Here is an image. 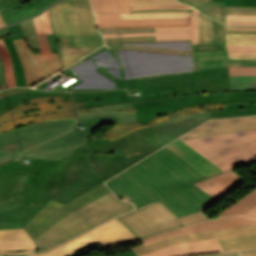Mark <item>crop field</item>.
Listing matches in <instances>:
<instances>
[{
    "label": "crop field",
    "mask_w": 256,
    "mask_h": 256,
    "mask_svg": "<svg viewBox=\"0 0 256 256\" xmlns=\"http://www.w3.org/2000/svg\"><path fill=\"white\" fill-rule=\"evenodd\" d=\"M0 56L2 59L4 71H5L7 85L8 87L15 86L16 83H15L12 59L1 37H0Z\"/></svg>",
    "instance_id": "crop-field-43"
},
{
    "label": "crop field",
    "mask_w": 256,
    "mask_h": 256,
    "mask_svg": "<svg viewBox=\"0 0 256 256\" xmlns=\"http://www.w3.org/2000/svg\"><path fill=\"white\" fill-rule=\"evenodd\" d=\"M131 203L118 199L112 192L73 212L43 235L35 243L42 252L92 227L133 209Z\"/></svg>",
    "instance_id": "crop-field-3"
},
{
    "label": "crop field",
    "mask_w": 256,
    "mask_h": 256,
    "mask_svg": "<svg viewBox=\"0 0 256 256\" xmlns=\"http://www.w3.org/2000/svg\"><path fill=\"white\" fill-rule=\"evenodd\" d=\"M230 76L256 75V67H234L229 68Z\"/></svg>",
    "instance_id": "crop-field-55"
},
{
    "label": "crop field",
    "mask_w": 256,
    "mask_h": 256,
    "mask_svg": "<svg viewBox=\"0 0 256 256\" xmlns=\"http://www.w3.org/2000/svg\"><path fill=\"white\" fill-rule=\"evenodd\" d=\"M224 109H215L209 119L256 114V91L228 92L219 104Z\"/></svg>",
    "instance_id": "crop-field-23"
},
{
    "label": "crop field",
    "mask_w": 256,
    "mask_h": 256,
    "mask_svg": "<svg viewBox=\"0 0 256 256\" xmlns=\"http://www.w3.org/2000/svg\"><path fill=\"white\" fill-rule=\"evenodd\" d=\"M206 177L166 146L105 183L136 209L158 200L177 217L207 209L217 200L195 182Z\"/></svg>",
    "instance_id": "crop-field-1"
},
{
    "label": "crop field",
    "mask_w": 256,
    "mask_h": 256,
    "mask_svg": "<svg viewBox=\"0 0 256 256\" xmlns=\"http://www.w3.org/2000/svg\"><path fill=\"white\" fill-rule=\"evenodd\" d=\"M68 90H77V91H101V90H109V89H68Z\"/></svg>",
    "instance_id": "crop-field-75"
},
{
    "label": "crop field",
    "mask_w": 256,
    "mask_h": 256,
    "mask_svg": "<svg viewBox=\"0 0 256 256\" xmlns=\"http://www.w3.org/2000/svg\"><path fill=\"white\" fill-rule=\"evenodd\" d=\"M72 256H76V255L74 254V255H72Z\"/></svg>",
    "instance_id": "crop-field-83"
},
{
    "label": "crop field",
    "mask_w": 256,
    "mask_h": 256,
    "mask_svg": "<svg viewBox=\"0 0 256 256\" xmlns=\"http://www.w3.org/2000/svg\"><path fill=\"white\" fill-rule=\"evenodd\" d=\"M128 92L134 88L192 82L194 92L230 91L228 68L193 71L125 80Z\"/></svg>",
    "instance_id": "crop-field-9"
},
{
    "label": "crop field",
    "mask_w": 256,
    "mask_h": 256,
    "mask_svg": "<svg viewBox=\"0 0 256 256\" xmlns=\"http://www.w3.org/2000/svg\"><path fill=\"white\" fill-rule=\"evenodd\" d=\"M109 192L111 191L102 183L65 205L53 199L24 228L36 239L73 211Z\"/></svg>",
    "instance_id": "crop-field-13"
},
{
    "label": "crop field",
    "mask_w": 256,
    "mask_h": 256,
    "mask_svg": "<svg viewBox=\"0 0 256 256\" xmlns=\"http://www.w3.org/2000/svg\"><path fill=\"white\" fill-rule=\"evenodd\" d=\"M55 0H0V12L7 25L42 12ZM33 9V11H30Z\"/></svg>",
    "instance_id": "crop-field-25"
},
{
    "label": "crop field",
    "mask_w": 256,
    "mask_h": 256,
    "mask_svg": "<svg viewBox=\"0 0 256 256\" xmlns=\"http://www.w3.org/2000/svg\"><path fill=\"white\" fill-rule=\"evenodd\" d=\"M75 122V119L45 121L43 124L0 133V164L16 159L25 149L68 131Z\"/></svg>",
    "instance_id": "crop-field-8"
},
{
    "label": "crop field",
    "mask_w": 256,
    "mask_h": 256,
    "mask_svg": "<svg viewBox=\"0 0 256 256\" xmlns=\"http://www.w3.org/2000/svg\"><path fill=\"white\" fill-rule=\"evenodd\" d=\"M232 214H242L251 218L256 217V190L248 194L222 214L218 215V217Z\"/></svg>",
    "instance_id": "crop-field-38"
},
{
    "label": "crop field",
    "mask_w": 256,
    "mask_h": 256,
    "mask_svg": "<svg viewBox=\"0 0 256 256\" xmlns=\"http://www.w3.org/2000/svg\"><path fill=\"white\" fill-rule=\"evenodd\" d=\"M31 239L23 229L0 230V240Z\"/></svg>",
    "instance_id": "crop-field-51"
},
{
    "label": "crop field",
    "mask_w": 256,
    "mask_h": 256,
    "mask_svg": "<svg viewBox=\"0 0 256 256\" xmlns=\"http://www.w3.org/2000/svg\"><path fill=\"white\" fill-rule=\"evenodd\" d=\"M125 79L197 70L194 58H120Z\"/></svg>",
    "instance_id": "crop-field-16"
},
{
    "label": "crop field",
    "mask_w": 256,
    "mask_h": 256,
    "mask_svg": "<svg viewBox=\"0 0 256 256\" xmlns=\"http://www.w3.org/2000/svg\"><path fill=\"white\" fill-rule=\"evenodd\" d=\"M48 11L56 36L99 34L89 0H62Z\"/></svg>",
    "instance_id": "crop-field-10"
},
{
    "label": "crop field",
    "mask_w": 256,
    "mask_h": 256,
    "mask_svg": "<svg viewBox=\"0 0 256 256\" xmlns=\"http://www.w3.org/2000/svg\"><path fill=\"white\" fill-rule=\"evenodd\" d=\"M31 161L43 168L42 179H47L37 203L54 198L65 204L103 182L86 165L85 154L69 160Z\"/></svg>",
    "instance_id": "crop-field-2"
},
{
    "label": "crop field",
    "mask_w": 256,
    "mask_h": 256,
    "mask_svg": "<svg viewBox=\"0 0 256 256\" xmlns=\"http://www.w3.org/2000/svg\"><path fill=\"white\" fill-rule=\"evenodd\" d=\"M198 70L234 67V66H256V63H229L228 59L197 61Z\"/></svg>",
    "instance_id": "crop-field-45"
},
{
    "label": "crop field",
    "mask_w": 256,
    "mask_h": 256,
    "mask_svg": "<svg viewBox=\"0 0 256 256\" xmlns=\"http://www.w3.org/2000/svg\"><path fill=\"white\" fill-rule=\"evenodd\" d=\"M213 111L214 109L203 114H200L199 111H195L191 114L180 115L171 120L157 123L152 125V127L161 141L167 144L182 133L207 120Z\"/></svg>",
    "instance_id": "crop-field-22"
},
{
    "label": "crop field",
    "mask_w": 256,
    "mask_h": 256,
    "mask_svg": "<svg viewBox=\"0 0 256 256\" xmlns=\"http://www.w3.org/2000/svg\"><path fill=\"white\" fill-rule=\"evenodd\" d=\"M20 24L30 47L40 49L34 24H33V20L31 19L28 21H24V22H21Z\"/></svg>",
    "instance_id": "crop-field-48"
},
{
    "label": "crop field",
    "mask_w": 256,
    "mask_h": 256,
    "mask_svg": "<svg viewBox=\"0 0 256 256\" xmlns=\"http://www.w3.org/2000/svg\"><path fill=\"white\" fill-rule=\"evenodd\" d=\"M132 5L182 4L176 0H131Z\"/></svg>",
    "instance_id": "crop-field-58"
},
{
    "label": "crop field",
    "mask_w": 256,
    "mask_h": 256,
    "mask_svg": "<svg viewBox=\"0 0 256 256\" xmlns=\"http://www.w3.org/2000/svg\"><path fill=\"white\" fill-rule=\"evenodd\" d=\"M222 252L216 239L177 244L142 256H192Z\"/></svg>",
    "instance_id": "crop-field-27"
},
{
    "label": "crop field",
    "mask_w": 256,
    "mask_h": 256,
    "mask_svg": "<svg viewBox=\"0 0 256 256\" xmlns=\"http://www.w3.org/2000/svg\"><path fill=\"white\" fill-rule=\"evenodd\" d=\"M102 34L122 32H155L154 28L98 29Z\"/></svg>",
    "instance_id": "crop-field-56"
},
{
    "label": "crop field",
    "mask_w": 256,
    "mask_h": 256,
    "mask_svg": "<svg viewBox=\"0 0 256 256\" xmlns=\"http://www.w3.org/2000/svg\"><path fill=\"white\" fill-rule=\"evenodd\" d=\"M4 41L11 53L12 59H13L16 83H17V85L26 86L23 66L20 62L18 55H17V52L13 45V42L11 41L10 37L4 38Z\"/></svg>",
    "instance_id": "crop-field-44"
},
{
    "label": "crop field",
    "mask_w": 256,
    "mask_h": 256,
    "mask_svg": "<svg viewBox=\"0 0 256 256\" xmlns=\"http://www.w3.org/2000/svg\"><path fill=\"white\" fill-rule=\"evenodd\" d=\"M111 44L118 57H194L191 40Z\"/></svg>",
    "instance_id": "crop-field-17"
},
{
    "label": "crop field",
    "mask_w": 256,
    "mask_h": 256,
    "mask_svg": "<svg viewBox=\"0 0 256 256\" xmlns=\"http://www.w3.org/2000/svg\"><path fill=\"white\" fill-rule=\"evenodd\" d=\"M18 160L0 166V214L34 205L45 182L41 168L21 166Z\"/></svg>",
    "instance_id": "crop-field-6"
},
{
    "label": "crop field",
    "mask_w": 256,
    "mask_h": 256,
    "mask_svg": "<svg viewBox=\"0 0 256 256\" xmlns=\"http://www.w3.org/2000/svg\"><path fill=\"white\" fill-rule=\"evenodd\" d=\"M82 82L71 88H116V79L121 73L70 72ZM76 73V74H73Z\"/></svg>",
    "instance_id": "crop-field-32"
},
{
    "label": "crop field",
    "mask_w": 256,
    "mask_h": 256,
    "mask_svg": "<svg viewBox=\"0 0 256 256\" xmlns=\"http://www.w3.org/2000/svg\"><path fill=\"white\" fill-rule=\"evenodd\" d=\"M212 1H225V0H212Z\"/></svg>",
    "instance_id": "crop-field-82"
},
{
    "label": "crop field",
    "mask_w": 256,
    "mask_h": 256,
    "mask_svg": "<svg viewBox=\"0 0 256 256\" xmlns=\"http://www.w3.org/2000/svg\"><path fill=\"white\" fill-rule=\"evenodd\" d=\"M255 222H256V219H249V218H246L243 216L223 217V218H218V219L182 227L179 229L171 230V231L165 232L163 234L142 240L141 242L144 245H146V244L156 242V241H159V240H162V239H165L168 237H172V236L227 228V227L250 224V223H255Z\"/></svg>",
    "instance_id": "crop-field-24"
},
{
    "label": "crop field",
    "mask_w": 256,
    "mask_h": 256,
    "mask_svg": "<svg viewBox=\"0 0 256 256\" xmlns=\"http://www.w3.org/2000/svg\"><path fill=\"white\" fill-rule=\"evenodd\" d=\"M120 81L121 83H118ZM117 88H124L122 80H117Z\"/></svg>",
    "instance_id": "crop-field-79"
},
{
    "label": "crop field",
    "mask_w": 256,
    "mask_h": 256,
    "mask_svg": "<svg viewBox=\"0 0 256 256\" xmlns=\"http://www.w3.org/2000/svg\"><path fill=\"white\" fill-rule=\"evenodd\" d=\"M159 148H140L118 154L86 153V162L90 169L104 181Z\"/></svg>",
    "instance_id": "crop-field-18"
},
{
    "label": "crop field",
    "mask_w": 256,
    "mask_h": 256,
    "mask_svg": "<svg viewBox=\"0 0 256 256\" xmlns=\"http://www.w3.org/2000/svg\"><path fill=\"white\" fill-rule=\"evenodd\" d=\"M2 26H5V23H4V21H3L2 17H1V15H0V27H2Z\"/></svg>",
    "instance_id": "crop-field-80"
},
{
    "label": "crop field",
    "mask_w": 256,
    "mask_h": 256,
    "mask_svg": "<svg viewBox=\"0 0 256 256\" xmlns=\"http://www.w3.org/2000/svg\"><path fill=\"white\" fill-rule=\"evenodd\" d=\"M198 16H199V12H197L196 10H192L191 27L155 28L156 33H123V34H109V35H103V36L116 37V36L156 35V41L192 39L193 44H195L197 43Z\"/></svg>",
    "instance_id": "crop-field-26"
},
{
    "label": "crop field",
    "mask_w": 256,
    "mask_h": 256,
    "mask_svg": "<svg viewBox=\"0 0 256 256\" xmlns=\"http://www.w3.org/2000/svg\"><path fill=\"white\" fill-rule=\"evenodd\" d=\"M198 43H212V25L211 19L200 14Z\"/></svg>",
    "instance_id": "crop-field-47"
},
{
    "label": "crop field",
    "mask_w": 256,
    "mask_h": 256,
    "mask_svg": "<svg viewBox=\"0 0 256 256\" xmlns=\"http://www.w3.org/2000/svg\"><path fill=\"white\" fill-rule=\"evenodd\" d=\"M57 38H58V49L57 50L96 47V46L103 45L102 35L57 37Z\"/></svg>",
    "instance_id": "crop-field-36"
},
{
    "label": "crop field",
    "mask_w": 256,
    "mask_h": 256,
    "mask_svg": "<svg viewBox=\"0 0 256 256\" xmlns=\"http://www.w3.org/2000/svg\"><path fill=\"white\" fill-rule=\"evenodd\" d=\"M230 62H256V59H229Z\"/></svg>",
    "instance_id": "crop-field-74"
},
{
    "label": "crop field",
    "mask_w": 256,
    "mask_h": 256,
    "mask_svg": "<svg viewBox=\"0 0 256 256\" xmlns=\"http://www.w3.org/2000/svg\"><path fill=\"white\" fill-rule=\"evenodd\" d=\"M24 66L27 86H32L85 55L58 57L57 53L34 54L23 39L13 40Z\"/></svg>",
    "instance_id": "crop-field-14"
},
{
    "label": "crop field",
    "mask_w": 256,
    "mask_h": 256,
    "mask_svg": "<svg viewBox=\"0 0 256 256\" xmlns=\"http://www.w3.org/2000/svg\"><path fill=\"white\" fill-rule=\"evenodd\" d=\"M214 233L218 241L235 237L254 235L256 234V223L227 229L215 230Z\"/></svg>",
    "instance_id": "crop-field-41"
},
{
    "label": "crop field",
    "mask_w": 256,
    "mask_h": 256,
    "mask_svg": "<svg viewBox=\"0 0 256 256\" xmlns=\"http://www.w3.org/2000/svg\"><path fill=\"white\" fill-rule=\"evenodd\" d=\"M46 36H47L51 51L56 52V49H57V39H56V37L54 35H46Z\"/></svg>",
    "instance_id": "crop-field-69"
},
{
    "label": "crop field",
    "mask_w": 256,
    "mask_h": 256,
    "mask_svg": "<svg viewBox=\"0 0 256 256\" xmlns=\"http://www.w3.org/2000/svg\"><path fill=\"white\" fill-rule=\"evenodd\" d=\"M226 6L256 7V0H230Z\"/></svg>",
    "instance_id": "crop-field-60"
},
{
    "label": "crop field",
    "mask_w": 256,
    "mask_h": 256,
    "mask_svg": "<svg viewBox=\"0 0 256 256\" xmlns=\"http://www.w3.org/2000/svg\"><path fill=\"white\" fill-rule=\"evenodd\" d=\"M36 247L33 240L0 241V248Z\"/></svg>",
    "instance_id": "crop-field-53"
},
{
    "label": "crop field",
    "mask_w": 256,
    "mask_h": 256,
    "mask_svg": "<svg viewBox=\"0 0 256 256\" xmlns=\"http://www.w3.org/2000/svg\"><path fill=\"white\" fill-rule=\"evenodd\" d=\"M115 220L120 224V226L131 236V238L134 241H137L138 239L117 219L115 218Z\"/></svg>",
    "instance_id": "crop-field-73"
},
{
    "label": "crop field",
    "mask_w": 256,
    "mask_h": 256,
    "mask_svg": "<svg viewBox=\"0 0 256 256\" xmlns=\"http://www.w3.org/2000/svg\"><path fill=\"white\" fill-rule=\"evenodd\" d=\"M96 48H85V49H73V50H62V51H57L59 56H64V55H74V54H84V53H90L94 51Z\"/></svg>",
    "instance_id": "crop-field-61"
},
{
    "label": "crop field",
    "mask_w": 256,
    "mask_h": 256,
    "mask_svg": "<svg viewBox=\"0 0 256 256\" xmlns=\"http://www.w3.org/2000/svg\"><path fill=\"white\" fill-rule=\"evenodd\" d=\"M241 256H256V251L254 252H243L240 253Z\"/></svg>",
    "instance_id": "crop-field-76"
},
{
    "label": "crop field",
    "mask_w": 256,
    "mask_h": 256,
    "mask_svg": "<svg viewBox=\"0 0 256 256\" xmlns=\"http://www.w3.org/2000/svg\"><path fill=\"white\" fill-rule=\"evenodd\" d=\"M13 256H26V255H13Z\"/></svg>",
    "instance_id": "crop-field-81"
},
{
    "label": "crop field",
    "mask_w": 256,
    "mask_h": 256,
    "mask_svg": "<svg viewBox=\"0 0 256 256\" xmlns=\"http://www.w3.org/2000/svg\"><path fill=\"white\" fill-rule=\"evenodd\" d=\"M24 90H27V89H23V88H10V89H7V90H4V91L0 92V98L8 96V95H12V94L24 91Z\"/></svg>",
    "instance_id": "crop-field-67"
},
{
    "label": "crop field",
    "mask_w": 256,
    "mask_h": 256,
    "mask_svg": "<svg viewBox=\"0 0 256 256\" xmlns=\"http://www.w3.org/2000/svg\"><path fill=\"white\" fill-rule=\"evenodd\" d=\"M98 28L190 26V17L120 19V14H95Z\"/></svg>",
    "instance_id": "crop-field-20"
},
{
    "label": "crop field",
    "mask_w": 256,
    "mask_h": 256,
    "mask_svg": "<svg viewBox=\"0 0 256 256\" xmlns=\"http://www.w3.org/2000/svg\"><path fill=\"white\" fill-rule=\"evenodd\" d=\"M132 108L131 104L95 108L92 109L96 112L90 113H78L80 123H84L87 126V130L83 132L75 131L56 137L46 143H43L31 150L21 153L19 157H37V158H52L62 159L71 155V153L82 145H85L88 139L85 138L89 134L90 130L106 123V122H118V123H135L137 122L135 113H124L121 111H104L110 109H127Z\"/></svg>",
    "instance_id": "crop-field-4"
},
{
    "label": "crop field",
    "mask_w": 256,
    "mask_h": 256,
    "mask_svg": "<svg viewBox=\"0 0 256 256\" xmlns=\"http://www.w3.org/2000/svg\"><path fill=\"white\" fill-rule=\"evenodd\" d=\"M191 5L203 14L226 24V14L256 15V8L225 7V2L178 0ZM224 15V17H221Z\"/></svg>",
    "instance_id": "crop-field-29"
},
{
    "label": "crop field",
    "mask_w": 256,
    "mask_h": 256,
    "mask_svg": "<svg viewBox=\"0 0 256 256\" xmlns=\"http://www.w3.org/2000/svg\"><path fill=\"white\" fill-rule=\"evenodd\" d=\"M148 146H163V143L155 134L152 127L129 133L116 141L87 151L88 153H115L114 151L116 150L123 152Z\"/></svg>",
    "instance_id": "crop-field-21"
},
{
    "label": "crop field",
    "mask_w": 256,
    "mask_h": 256,
    "mask_svg": "<svg viewBox=\"0 0 256 256\" xmlns=\"http://www.w3.org/2000/svg\"><path fill=\"white\" fill-rule=\"evenodd\" d=\"M22 226L12 222H0V229L20 228Z\"/></svg>",
    "instance_id": "crop-field-70"
},
{
    "label": "crop field",
    "mask_w": 256,
    "mask_h": 256,
    "mask_svg": "<svg viewBox=\"0 0 256 256\" xmlns=\"http://www.w3.org/2000/svg\"><path fill=\"white\" fill-rule=\"evenodd\" d=\"M212 256H239V255L238 253H229V254L212 255Z\"/></svg>",
    "instance_id": "crop-field-78"
},
{
    "label": "crop field",
    "mask_w": 256,
    "mask_h": 256,
    "mask_svg": "<svg viewBox=\"0 0 256 256\" xmlns=\"http://www.w3.org/2000/svg\"><path fill=\"white\" fill-rule=\"evenodd\" d=\"M223 252L256 248V235L219 242Z\"/></svg>",
    "instance_id": "crop-field-42"
},
{
    "label": "crop field",
    "mask_w": 256,
    "mask_h": 256,
    "mask_svg": "<svg viewBox=\"0 0 256 256\" xmlns=\"http://www.w3.org/2000/svg\"><path fill=\"white\" fill-rule=\"evenodd\" d=\"M158 86L149 88H139L142 90V96L138 98L128 96L126 90H109L105 92H88V93H77L72 92L74 100L76 102L86 101L84 103L85 108L121 104L134 101L151 100L159 98H167L185 94H194L191 83ZM161 89V91H159ZM97 93L95 96L94 94Z\"/></svg>",
    "instance_id": "crop-field-12"
},
{
    "label": "crop field",
    "mask_w": 256,
    "mask_h": 256,
    "mask_svg": "<svg viewBox=\"0 0 256 256\" xmlns=\"http://www.w3.org/2000/svg\"><path fill=\"white\" fill-rule=\"evenodd\" d=\"M231 91L256 90V76L230 77Z\"/></svg>",
    "instance_id": "crop-field-46"
},
{
    "label": "crop field",
    "mask_w": 256,
    "mask_h": 256,
    "mask_svg": "<svg viewBox=\"0 0 256 256\" xmlns=\"http://www.w3.org/2000/svg\"><path fill=\"white\" fill-rule=\"evenodd\" d=\"M106 44L110 42H133V41H155V36L143 37H117V38H104Z\"/></svg>",
    "instance_id": "crop-field-54"
},
{
    "label": "crop field",
    "mask_w": 256,
    "mask_h": 256,
    "mask_svg": "<svg viewBox=\"0 0 256 256\" xmlns=\"http://www.w3.org/2000/svg\"><path fill=\"white\" fill-rule=\"evenodd\" d=\"M228 53L256 52V46H227Z\"/></svg>",
    "instance_id": "crop-field-63"
},
{
    "label": "crop field",
    "mask_w": 256,
    "mask_h": 256,
    "mask_svg": "<svg viewBox=\"0 0 256 256\" xmlns=\"http://www.w3.org/2000/svg\"><path fill=\"white\" fill-rule=\"evenodd\" d=\"M227 24L256 26V16L227 15Z\"/></svg>",
    "instance_id": "crop-field-52"
},
{
    "label": "crop field",
    "mask_w": 256,
    "mask_h": 256,
    "mask_svg": "<svg viewBox=\"0 0 256 256\" xmlns=\"http://www.w3.org/2000/svg\"><path fill=\"white\" fill-rule=\"evenodd\" d=\"M215 238L212 231L209 232H203V233H197V234H190V235H184V236H177L172 237L169 239H165L156 243H152L149 245H141L133 248H129V250H134L135 253L138 255L150 253L153 251H156L158 249H161L163 247H167L173 244L177 243H185L189 241H198V240H207V239H213Z\"/></svg>",
    "instance_id": "crop-field-34"
},
{
    "label": "crop field",
    "mask_w": 256,
    "mask_h": 256,
    "mask_svg": "<svg viewBox=\"0 0 256 256\" xmlns=\"http://www.w3.org/2000/svg\"><path fill=\"white\" fill-rule=\"evenodd\" d=\"M132 241L129 235L112 219L44 253L30 254L28 256H70L98 243L102 248H108Z\"/></svg>",
    "instance_id": "crop-field-11"
},
{
    "label": "crop field",
    "mask_w": 256,
    "mask_h": 256,
    "mask_svg": "<svg viewBox=\"0 0 256 256\" xmlns=\"http://www.w3.org/2000/svg\"><path fill=\"white\" fill-rule=\"evenodd\" d=\"M37 36H40L39 44L41 47V53L51 52L45 34H53L48 12L33 18Z\"/></svg>",
    "instance_id": "crop-field-40"
},
{
    "label": "crop field",
    "mask_w": 256,
    "mask_h": 256,
    "mask_svg": "<svg viewBox=\"0 0 256 256\" xmlns=\"http://www.w3.org/2000/svg\"><path fill=\"white\" fill-rule=\"evenodd\" d=\"M36 248H26V249H0V254H27L31 253Z\"/></svg>",
    "instance_id": "crop-field-66"
},
{
    "label": "crop field",
    "mask_w": 256,
    "mask_h": 256,
    "mask_svg": "<svg viewBox=\"0 0 256 256\" xmlns=\"http://www.w3.org/2000/svg\"><path fill=\"white\" fill-rule=\"evenodd\" d=\"M226 171L256 159V130L184 141Z\"/></svg>",
    "instance_id": "crop-field-5"
},
{
    "label": "crop field",
    "mask_w": 256,
    "mask_h": 256,
    "mask_svg": "<svg viewBox=\"0 0 256 256\" xmlns=\"http://www.w3.org/2000/svg\"><path fill=\"white\" fill-rule=\"evenodd\" d=\"M157 8H181L190 9L187 5H161V6H132V10L137 9H157Z\"/></svg>",
    "instance_id": "crop-field-62"
},
{
    "label": "crop field",
    "mask_w": 256,
    "mask_h": 256,
    "mask_svg": "<svg viewBox=\"0 0 256 256\" xmlns=\"http://www.w3.org/2000/svg\"><path fill=\"white\" fill-rule=\"evenodd\" d=\"M256 129V116L207 121L181 136L184 140Z\"/></svg>",
    "instance_id": "crop-field-19"
},
{
    "label": "crop field",
    "mask_w": 256,
    "mask_h": 256,
    "mask_svg": "<svg viewBox=\"0 0 256 256\" xmlns=\"http://www.w3.org/2000/svg\"><path fill=\"white\" fill-rule=\"evenodd\" d=\"M0 36H2L3 38L9 36V33H8L6 28L0 30ZM0 86L2 87V88H0V90L4 89L3 87L7 86L6 82H5V77H4V72H3V67H2L1 59H0Z\"/></svg>",
    "instance_id": "crop-field-65"
},
{
    "label": "crop field",
    "mask_w": 256,
    "mask_h": 256,
    "mask_svg": "<svg viewBox=\"0 0 256 256\" xmlns=\"http://www.w3.org/2000/svg\"><path fill=\"white\" fill-rule=\"evenodd\" d=\"M63 95L64 99L67 101L71 100V95L69 92L55 94V93H43V92H31V91H24L12 96H8L5 98L0 99V115L22 103L25 99H32L36 97H48V96H60Z\"/></svg>",
    "instance_id": "crop-field-35"
},
{
    "label": "crop field",
    "mask_w": 256,
    "mask_h": 256,
    "mask_svg": "<svg viewBox=\"0 0 256 256\" xmlns=\"http://www.w3.org/2000/svg\"><path fill=\"white\" fill-rule=\"evenodd\" d=\"M227 45H256V35L227 34Z\"/></svg>",
    "instance_id": "crop-field-50"
},
{
    "label": "crop field",
    "mask_w": 256,
    "mask_h": 256,
    "mask_svg": "<svg viewBox=\"0 0 256 256\" xmlns=\"http://www.w3.org/2000/svg\"><path fill=\"white\" fill-rule=\"evenodd\" d=\"M229 58H256V53L228 54Z\"/></svg>",
    "instance_id": "crop-field-68"
},
{
    "label": "crop field",
    "mask_w": 256,
    "mask_h": 256,
    "mask_svg": "<svg viewBox=\"0 0 256 256\" xmlns=\"http://www.w3.org/2000/svg\"><path fill=\"white\" fill-rule=\"evenodd\" d=\"M166 146L183 157L208 177L223 172L220 168L215 166L213 163L208 161L179 139Z\"/></svg>",
    "instance_id": "crop-field-31"
},
{
    "label": "crop field",
    "mask_w": 256,
    "mask_h": 256,
    "mask_svg": "<svg viewBox=\"0 0 256 256\" xmlns=\"http://www.w3.org/2000/svg\"><path fill=\"white\" fill-rule=\"evenodd\" d=\"M7 29L9 31L12 39L24 38L25 37L22 30H21V27H20L19 23L16 24V25L10 26Z\"/></svg>",
    "instance_id": "crop-field-64"
},
{
    "label": "crop field",
    "mask_w": 256,
    "mask_h": 256,
    "mask_svg": "<svg viewBox=\"0 0 256 256\" xmlns=\"http://www.w3.org/2000/svg\"><path fill=\"white\" fill-rule=\"evenodd\" d=\"M48 202L0 215V221H12L24 227Z\"/></svg>",
    "instance_id": "crop-field-37"
},
{
    "label": "crop field",
    "mask_w": 256,
    "mask_h": 256,
    "mask_svg": "<svg viewBox=\"0 0 256 256\" xmlns=\"http://www.w3.org/2000/svg\"><path fill=\"white\" fill-rule=\"evenodd\" d=\"M197 60L228 58L227 51L194 54Z\"/></svg>",
    "instance_id": "crop-field-59"
},
{
    "label": "crop field",
    "mask_w": 256,
    "mask_h": 256,
    "mask_svg": "<svg viewBox=\"0 0 256 256\" xmlns=\"http://www.w3.org/2000/svg\"><path fill=\"white\" fill-rule=\"evenodd\" d=\"M227 92L217 94H200L183 96L176 98L161 99L155 101L132 104L137 111L138 122L148 124L157 116L170 113L172 111L198 104H215L225 96Z\"/></svg>",
    "instance_id": "crop-field-15"
},
{
    "label": "crop field",
    "mask_w": 256,
    "mask_h": 256,
    "mask_svg": "<svg viewBox=\"0 0 256 256\" xmlns=\"http://www.w3.org/2000/svg\"><path fill=\"white\" fill-rule=\"evenodd\" d=\"M172 16H190V12H153V13H126L121 14V18L137 17H172Z\"/></svg>",
    "instance_id": "crop-field-49"
},
{
    "label": "crop field",
    "mask_w": 256,
    "mask_h": 256,
    "mask_svg": "<svg viewBox=\"0 0 256 256\" xmlns=\"http://www.w3.org/2000/svg\"><path fill=\"white\" fill-rule=\"evenodd\" d=\"M114 256H136V254L133 251V252H128V253H125V254L114 255Z\"/></svg>",
    "instance_id": "crop-field-77"
},
{
    "label": "crop field",
    "mask_w": 256,
    "mask_h": 256,
    "mask_svg": "<svg viewBox=\"0 0 256 256\" xmlns=\"http://www.w3.org/2000/svg\"><path fill=\"white\" fill-rule=\"evenodd\" d=\"M100 68L102 69L101 71L99 70ZM66 70L121 72V68L116 57L108 49H105V47Z\"/></svg>",
    "instance_id": "crop-field-28"
},
{
    "label": "crop field",
    "mask_w": 256,
    "mask_h": 256,
    "mask_svg": "<svg viewBox=\"0 0 256 256\" xmlns=\"http://www.w3.org/2000/svg\"><path fill=\"white\" fill-rule=\"evenodd\" d=\"M95 13L131 12L130 0H91Z\"/></svg>",
    "instance_id": "crop-field-39"
},
{
    "label": "crop field",
    "mask_w": 256,
    "mask_h": 256,
    "mask_svg": "<svg viewBox=\"0 0 256 256\" xmlns=\"http://www.w3.org/2000/svg\"><path fill=\"white\" fill-rule=\"evenodd\" d=\"M139 239H143L180 226L208 220L203 213L196 212L177 218L158 201L118 217Z\"/></svg>",
    "instance_id": "crop-field-7"
},
{
    "label": "crop field",
    "mask_w": 256,
    "mask_h": 256,
    "mask_svg": "<svg viewBox=\"0 0 256 256\" xmlns=\"http://www.w3.org/2000/svg\"><path fill=\"white\" fill-rule=\"evenodd\" d=\"M226 29L256 30L254 26H226Z\"/></svg>",
    "instance_id": "crop-field-71"
},
{
    "label": "crop field",
    "mask_w": 256,
    "mask_h": 256,
    "mask_svg": "<svg viewBox=\"0 0 256 256\" xmlns=\"http://www.w3.org/2000/svg\"><path fill=\"white\" fill-rule=\"evenodd\" d=\"M111 140L109 138H103V139H100V140H91L90 142H88V147L86 146H83L79 149H77L72 156L68 157V158H73V157H76L78 155H76V152H78V154H82L84 152H87L86 149H89V148H93V147H96L98 145H101V144H105V143H108L110 142ZM66 158V159H68Z\"/></svg>",
    "instance_id": "crop-field-57"
},
{
    "label": "crop field",
    "mask_w": 256,
    "mask_h": 256,
    "mask_svg": "<svg viewBox=\"0 0 256 256\" xmlns=\"http://www.w3.org/2000/svg\"><path fill=\"white\" fill-rule=\"evenodd\" d=\"M213 44H195L194 53L222 51L226 48V33L256 34V31L225 30V25L212 20Z\"/></svg>",
    "instance_id": "crop-field-33"
},
{
    "label": "crop field",
    "mask_w": 256,
    "mask_h": 256,
    "mask_svg": "<svg viewBox=\"0 0 256 256\" xmlns=\"http://www.w3.org/2000/svg\"><path fill=\"white\" fill-rule=\"evenodd\" d=\"M153 11H190V10H180V9H157V10H138L132 12H153Z\"/></svg>",
    "instance_id": "crop-field-72"
},
{
    "label": "crop field",
    "mask_w": 256,
    "mask_h": 256,
    "mask_svg": "<svg viewBox=\"0 0 256 256\" xmlns=\"http://www.w3.org/2000/svg\"><path fill=\"white\" fill-rule=\"evenodd\" d=\"M243 181L239 175L230 170L196 183V185L218 200Z\"/></svg>",
    "instance_id": "crop-field-30"
}]
</instances>
